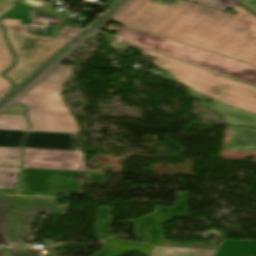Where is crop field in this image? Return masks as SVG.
<instances>
[{
	"label": "crop field",
	"instance_id": "8a807250",
	"mask_svg": "<svg viewBox=\"0 0 256 256\" xmlns=\"http://www.w3.org/2000/svg\"><path fill=\"white\" fill-rule=\"evenodd\" d=\"M233 9L236 16L187 1L132 0L111 20L256 65V16L240 5Z\"/></svg>",
	"mask_w": 256,
	"mask_h": 256
},
{
	"label": "crop field",
	"instance_id": "ac0d7876",
	"mask_svg": "<svg viewBox=\"0 0 256 256\" xmlns=\"http://www.w3.org/2000/svg\"><path fill=\"white\" fill-rule=\"evenodd\" d=\"M110 46L122 52L132 47L141 50L155 59L151 63L166 70L160 78L189 87V95L196 99H215L200 105L216 110L225 123L256 126V88L118 38Z\"/></svg>",
	"mask_w": 256,
	"mask_h": 256
},
{
	"label": "crop field",
	"instance_id": "34b2d1b8",
	"mask_svg": "<svg viewBox=\"0 0 256 256\" xmlns=\"http://www.w3.org/2000/svg\"><path fill=\"white\" fill-rule=\"evenodd\" d=\"M74 66L59 65L18 102L29 107L30 130L77 133L79 128L60 93Z\"/></svg>",
	"mask_w": 256,
	"mask_h": 256
},
{
	"label": "crop field",
	"instance_id": "412701ff",
	"mask_svg": "<svg viewBox=\"0 0 256 256\" xmlns=\"http://www.w3.org/2000/svg\"><path fill=\"white\" fill-rule=\"evenodd\" d=\"M116 37L131 40L190 63L229 74L256 86V66L123 26Z\"/></svg>",
	"mask_w": 256,
	"mask_h": 256
},
{
	"label": "crop field",
	"instance_id": "f4fd0767",
	"mask_svg": "<svg viewBox=\"0 0 256 256\" xmlns=\"http://www.w3.org/2000/svg\"><path fill=\"white\" fill-rule=\"evenodd\" d=\"M5 27L7 39L17 63L4 75L10 78L15 86L44 64L81 31L62 28L60 30L61 34L57 38H43L28 34L29 31L23 30L24 26L5 25Z\"/></svg>",
	"mask_w": 256,
	"mask_h": 256
},
{
	"label": "crop field",
	"instance_id": "dd49c442",
	"mask_svg": "<svg viewBox=\"0 0 256 256\" xmlns=\"http://www.w3.org/2000/svg\"><path fill=\"white\" fill-rule=\"evenodd\" d=\"M86 174L89 184L103 185L105 173L23 168L17 191L81 195L83 183L73 180Z\"/></svg>",
	"mask_w": 256,
	"mask_h": 256
},
{
	"label": "crop field",
	"instance_id": "e52e79f7",
	"mask_svg": "<svg viewBox=\"0 0 256 256\" xmlns=\"http://www.w3.org/2000/svg\"><path fill=\"white\" fill-rule=\"evenodd\" d=\"M65 207L58 205L55 199L15 196L7 221L9 246L30 247L32 223L39 212L63 213Z\"/></svg>",
	"mask_w": 256,
	"mask_h": 256
},
{
	"label": "crop field",
	"instance_id": "d8731c3e",
	"mask_svg": "<svg viewBox=\"0 0 256 256\" xmlns=\"http://www.w3.org/2000/svg\"><path fill=\"white\" fill-rule=\"evenodd\" d=\"M188 192H178L173 208L155 206V213L138 220H127L134 225L135 236L144 238V241L155 246H163L161 225L174 218L188 217Z\"/></svg>",
	"mask_w": 256,
	"mask_h": 256
},
{
	"label": "crop field",
	"instance_id": "5a996713",
	"mask_svg": "<svg viewBox=\"0 0 256 256\" xmlns=\"http://www.w3.org/2000/svg\"><path fill=\"white\" fill-rule=\"evenodd\" d=\"M23 167L87 171L81 151L24 148Z\"/></svg>",
	"mask_w": 256,
	"mask_h": 256
},
{
	"label": "crop field",
	"instance_id": "3316defc",
	"mask_svg": "<svg viewBox=\"0 0 256 256\" xmlns=\"http://www.w3.org/2000/svg\"><path fill=\"white\" fill-rule=\"evenodd\" d=\"M73 134L29 132L24 147L79 150L73 144Z\"/></svg>",
	"mask_w": 256,
	"mask_h": 256
},
{
	"label": "crop field",
	"instance_id": "28ad6ade",
	"mask_svg": "<svg viewBox=\"0 0 256 256\" xmlns=\"http://www.w3.org/2000/svg\"><path fill=\"white\" fill-rule=\"evenodd\" d=\"M104 247L92 256H122L132 250L147 254L150 256L153 246L145 243L125 241L116 237H111L101 242Z\"/></svg>",
	"mask_w": 256,
	"mask_h": 256
},
{
	"label": "crop field",
	"instance_id": "d1516ede",
	"mask_svg": "<svg viewBox=\"0 0 256 256\" xmlns=\"http://www.w3.org/2000/svg\"><path fill=\"white\" fill-rule=\"evenodd\" d=\"M227 126L230 128L232 138L224 145L223 149L256 151V127ZM242 130H247V132Z\"/></svg>",
	"mask_w": 256,
	"mask_h": 256
},
{
	"label": "crop field",
	"instance_id": "22f410ed",
	"mask_svg": "<svg viewBox=\"0 0 256 256\" xmlns=\"http://www.w3.org/2000/svg\"><path fill=\"white\" fill-rule=\"evenodd\" d=\"M27 107L15 103L0 114V128L28 130L29 124L25 117Z\"/></svg>",
	"mask_w": 256,
	"mask_h": 256
},
{
	"label": "crop field",
	"instance_id": "cbeb9de0",
	"mask_svg": "<svg viewBox=\"0 0 256 256\" xmlns=\"http://www.w3.org/2000/svg\"><path fill=\"white\" fill-rule=\"evenodd\" d=\"M216 256H256V242L225 240Z\"/></svg>",
	"mask_w": 256,
	"mask_h": 256
},
{
	"label": "crop field",
	"instance_id": "5142ce71",
	"mask_svg": "<svg viewBox=\"0 0 256 256\" xmlns=\"http://www.w3.org/2000/svg\"><path fill=\"white\" fill-rule=\"evenodd\" d=\"M14 62L4 40L3 29L0 27V74ZM12 89L9 81L0 75V98Z\"/></svg>",
	"mask_w": 256,
	"mask_h": 256
},
{
	"label": "crop field",
	"instance_id": "d9b57169",
	"mask_svg": "<svg viewBox=\"0 0 256 256\" xmlns=\"http://www.w3.org/2000/svg\"><path fill=\"white\" fill-rule=\"evenodd\" d=\"M213 253L209 250L155 247L151 256H212Z\"/></svg>",
	"mask_w": 256,
	"mask_h": 256
},
{
	"label": "crop field",
	"instance_id": "733c2abd",
	"mask_svg": "<svg viewBox=\"0 0 256 256\" xmlns=\"http://www.w3.org/2000/svg\"><path fill=\"white\" fill-rule=\"evenodd\" d=\"M99 216L95 222L97 240H102L111 235L110 224L112 218L108 216V212L111 211L110 207H99Z\"/></svg>",
	"mask_w": 256,
	"mask_h": 256
},
{
	"label": "crop field",
	"instance_id": "4a817a6b",
	"mask_svg": "<svg viewBox=\"0 0 256 256\" xmlns=\"http://www.w3.org/2000/svg\"><path fill=\"white\" fill-rule=\"evenodd\" d=\"M22 148L0 147V166H22Z\"/></svg>",
	"mask_w": 256,
	"mask_h": 256
},
{
	"label": "crop field",
	"instance_id": "bc2a9ffb",
	"mask_svg": "<svg viewBox=\"0 0 256 256\" xmlns=\"http://www.w3.org/2000/svg\"><path fill=\"white\" fill-rule=\"evenodd\" d=\"M13 196L0 195V245L8 246L3 236L5 231V221L10 212Z\"/></svg>",
	"mask_w": 256,
	"mask_h": 256
},
{
	"label": "crop field",
	"instance_id": "214f88e0",
	"mask_svg": "<svg viewBox=\"0 0 256 256\" xmlns=\"http://www.w3.org/2000/svg\"><path fill=\"white\" fill-rule=\"evenodd\" d=\"M27 132L0 131V146L22 147Z\"/></svg>",
	"mask_w": 256,
	"mask_h": 256
},
{
	"label": "crop field",
	"instance_id": "92a150f3",
	"mask_svg": "<svg viewBox=\"0 0 256 256\" xmlns=\"http://www.w3.org/2000/svg\"><path fill=\"white\" fill-rule=\"evenodd\" d=\"M19 169L0 168V188L14 189Z\"/></svg>",
	"mask_w": 256,
	"mask_h": 256
},
{
	"label": "crop field",
	"instance_id": "dafd665d",
	"mask_svg": "<svg viewBox=\"0 0 256 256\" xmlns=\"http://www.w3.org/2000/svg\"><path fill=\"white\" fill-rule=\"evenodd\" d=\"M189 1L207 5L214 8H218V9H222V10L226 8H233L236 5H238L233 0H189Z\"/></svg>",
	"mask_w": 256,
	"mask_h": 256
},
{
	"label": "crop field",
	"instance_id": "00972430",
	"mask_svg": "<svg viewBox=\"0 0 256 256\" xmlns=\"http://www.w3.org/2000/svg\"><path fill=\"white\" fill-rule=\"evenodd\" d=\"M19 2L23 3V4H26L28 6H31V7L40 9L42 11L54 14V15H58V16H61V17L67 16V14L61 13V12H58L59 14H56L57 11L53 10L52 5H49L47 3H44V2H41V1H38V0H19Z\"/></svg>",
	"mask_w": 256,
	"mask_h": 256
},
{
	"label": "crop field",
	"instance_id": "a9b5d70f",
	"mask_svg": "<svg viewBox=\"0 0 256 256\" xmlns=\"http://www.w3.org/2000/svg\"><path fill=\"white\" fill-rule=\"evenodd\" d=\"M13 256H37L39 252L32 249L11 248Z\"/></svg>",
	"mask_w": 256,
	"mask_h": 256
},
{
	"label": "crop field",
	"instance_id": "4177f3b9",
	"mask_svg": "<svg viewBox=\"0 0 256 256\" xmlns=\"http://www.w3.org/2000/svg\"><path fill=\"white\" fill-rule=\"evenodd\" d=\"M256 14V0H245L240 3Z\"/></svg>",
	"mask_w": 256,
	"mask_h": 256
},
{
	"label": "crop field",
	"instance_id": "730fd06b",
	"mask_svg": "<svg viewBox=\"0 0 256 256\" xmlns=\"http://www.w3.org/2000/svg\"><path fill=\"white\" fill-rule=\"evenodd\" d=\"M16 4H0V17L15 7Z\"/></svg>",
	"mask_w": 256,
	"mask_h": 256
},
{
	"label": "crop field",
	"instance_id": "eef30255",
	"mask_svg": "<svg viewBox=\"0 0 256 256\" xmlns=\"http://www.w3.org/2000/svg\"><path fill=\"white\" fill-rule=\"evenodd\" d=\"M0 256H11V252L8 251V248H0Z\"/></svg>",
	"mask_w": 256,
	"mask_h": 256
},
{
	"label": "crop field",
	"instance_id": "ae1a2a85",
	"mask_svg": "<svg viewBox=\"0 0 256 256\" xmlns=\"http://www.w3.org/2000/svg\"><path fill=\"white\" fill-rule=\"evenodd\" d=\"M116 0H108L106 4H104V6H106L107 8L109 6H111Z\"/></svg>",
	"mask_w": 256,
	"mask_h": 256
},
{
	"label": "crop field",
	"instance_id": "d3111659",
	"mask_svg": "<svg viewBox=\"0 0 256 256\" xmlns=\"http://www.w3.org/2000/svg\"><path fill=\"white\" fill-rule=\"evenodd\" d=\"M237 2H240V1H242V0H236Z\"/></svg>",
	"mask_w": 256,
	"mask_h": 256
},
{
	"label": "crop field",
	"instance_id": "750c4746",
	"mask_svg": "<svg viewBox=\"0 0 256 256\" xmlns=\"http://www.w3.org/2000/svg\"><path fill=\"white\" fill-rule=\"evenodd\" d=\"M13 2L15 3V2H16V0H13Z\"/></svg>",
	"mask_w": 256,
	"mask_h": 256
},
{
	"label": "crop field",
	"instance_id": "bd1437ed",
	"mask_svg": "<svg viewBox=\"0 0 256 256\" xmlns=\"http://www.w3.org/2000/svg\"><path fill=\"white\" fill-rule=\"evenodd\" d=\"M44 1H46V0H44Z\"/></svg>",
	"mask_w": 256,
	"mask_h": 256
}]
</instances>
